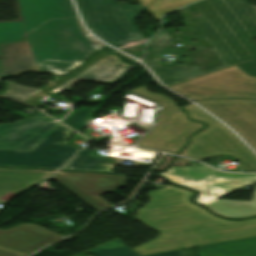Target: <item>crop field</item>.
Masks as SVG:
<instances>
[{"instance_id": "obj_18", "label": "crop field", "mask_w": 256, "mask_h": 256, "mask_svg": "<svg viewBox=\"0 0 256 256\" xmlns=\"http://www.w3.org/2000/svg\"><path fill=\"white\" fill-rule=\"evenodd\" d=\"M91 153H92V151H90L88 149H84L71 162H69L63 169L110 172V171L98 166L100 163H102L104 161V159L94 157L91 155Z\"/></svg>"}, {"instance_id": "obj_17", "label": "crop field", "mask_w": 256, "mask_h": 256, "mask_svg": "<svg viewBox=\"0 0 256 256\" xmlns=\"http://www.w3.org/2000/svg\"><path fill=\"white\" fill-rule=\"evenodd\" d=\"M206 207L219 215L232 218L256 215V188L252 201L217 200Z\"/></svg>"}, {"instance_id": "obj_19", "label": "crop field", "mask_w": 256, "mask_h": 256, "mask_svg": "<svg viewBox=\"0 0 256 256\" xmlns=\"http://www.w3.org/2000/svg\"><path fill=\"white\" fill-rule=\"evenodd\" d=\"M173 115L171 121L167 125V130L185 131L194 133L195 130L202 128L204 125L198 122H191L187 119L186 114L182 112L181 108L168 109Z\"/></svg>"}, {"instance_id": "obj_16", "label": "crop field", "mask_w": 256, "mask_h": 256, "mask_svg": "<svg viewBox=\"0 0 256 256\" xmlns=\"http://www.w3.org/2000/svg\"><path fill=\"white\" fill-rule=\"evenodd\" d=\"M200 256H256V238L198 248Z\"/></svg>"}, {"instance_id": "obj_1", "label": "crop field", "mask_w": 256, "mask_h": 256, "mask_svg": "<svg viewBox=\"0 0 256 256\" xmlns=\"http://www.w3.org/2000/svg\"><path fill=\"white\" fill-rule=\"evenodd\" d=\"M21 22L0 23L2 45L22 40L48 19L77 16L70 0H18ZM96 50L72 19L49 21L24 41L5 46L4 76L24 71L65 72ZM1 74V71H0Z\"/></svg>"}, {"instance_id": "obj_5", "label": "crop field", "mask_w": 256, "mask_h": 256, "mask_svg": "<svg viewBox=\"0 0 256 256\" xmlns=\"http://www.w3.org/2000/svg\"><path fill=\"white\" fill-rule=\"evenodd\" d=\"M129 66L131 65L121 63L118 57L109 51H101L72 72L66 75H56L54 83L45 89L21 87L6 81V89L1 95L40 107L41 104L37 98L43 93L60 90L72 91L73 83L79 80L110 84Z\"/></svg>"}, {"instance_id": "obj_9", "label": "crop field", "mask_w": 256, "mask_h": 256, "mask_svg": "<svg viewBox=\"0 0 256 256\" xmlns=\"http://www.w3.org/2000/svg\"><path fill=\"white\" fill-rule=\"evenodd\" d=\"M72 133L59 124L30 152L0 149V165L59 168L78 150L64 145Z\"/></svg>"}, {"instance_id": "obj_27", "label": "crop field", "mask_w": 256, "mask_h": 256, "mask_svg": "<svg viewBox=\"0 0 256 256\" xmlns=\"http://www.w3.org/2000/svg\"><path fill=\"white\" fill-rule=\"evenodd\" d=\"M139 1L146 8L152 0H139Z\"/></svg>"}, {"instance_id": "obj_21", "label": "crop field", "mask_w": 256, "mask_h": 256, "mask_svg": "<svg viewBox=\"0 0 256 256\" xmlns=\"http://www.w3.org/2000/svg\"><path fill=\"white\" fill-rule=\"evenodd\" d=\"M197 0H155L146 10L150 11L157 19L160 15L175 10Z\"/></svg>"}, {"instance_id": "obj_29", "label": "crop field", "mask_w": 256, "mask_h": 256, "mask_svg": "<svg viewBox=\"0 0 256 256\" xmlns=\"http://www.w3.org/2000/svg\"><path fill=\"white\" fill-rule=\"evenodd\" d=\"M252 7L254 8V10L256 11V6L255 5H252Z\"/></svg>"}, {"instance_id": "obj_12", "label": "crop field", "mask_w": 256, "mask_h": 256, "mask_svg": "<svg viewBox=\"0 0 256 256\" xmlns=\"http://www.w3.org/2000/svg\"><path fill=\"white\" fill-rule=\"evenodd\" d=\"M173 40L174 39L171 38L166 31L161 30L148 43L147 47H150L151 49L146 52V56L143 58L145 59L148 57V59H157L160 57V54L177 55L170 69L158 67L159 61H144L166 86L225 68V65H223L210 70H201L198 69V66L190 65V53L176 48H169ZM183 55H187L186 59L182 58ZM178 61L182 62L183 64L177 65ZM178 78L180 80H177Z\"/></svg>"}, {"instance_id": "obj_14", "label": "crop field", "mask_w": 256, "mask_h": 256, "mask_svg": "<svg viewBox=\"0 0 256 256\" xmlns=\"http://www.w3.org/2000/svg\"><path fill=\"white\" fill-rule=\"evenodd\" d=\"M59 123L38 113L14 125H0V148L30 151Z\"/></svg>"}, {"instance_id": "obj_23", "label": "crop field", "mask_w": 256, "mask_h": 256, "mask_svg": "<svg viewBox=\"0 0 256 256\" xmlns=\"http://www.w3.org/2000/svg\"><path fill=\"white\" fill-rule=\"evenodd\" d=\"M131 91L160 102L161 103L160 110L166 109V108L178 107V105H176L171 98L164 95L151 93L146 90L145 86L137 87Z\"/></svg>"}, {"instance_id": "obj_2", "label": "crop field", "mask_w": 256, "mask_h": 256, "mask_svg": "<svg viewBox=\"0 0 256 256\" xmlns=\"http://www.w3.org/2000/svg\"><path fill=\"white\" fill-rule=\"evenodd\" d=\"M148 195L136 219L160 235L132 248L141 256L256 237V218L220 219L188 202L193 192L169 185Z\"/></svg>"}, {"instance_id": "obj_11", "label": "crop field", "mask_w": 256, "mask_h": 256, "mask_svg": "<svg viewBox=\"0 0 256 256\" xmlns=\"http://www.w3.org/2000/svg\"><path fill=\"white\" fill-rule=\"evenodd\" d=\"M53 179L96 211L110 204L99 195L122 189L127 177L59 171Z\"/></svg>"}, {"instance_id": "obj_25", "label": "crop field", "mask_w": 256, "mask_h": 256, "mask_svg": "<svg viewBox=\"0 0 256 256\" xmlns=\"http://www.w3.org/2000/svg\"><path fill=\"white\" fill-rule=\"evenodd\" d=\"M249 184H253L247 180H239V184H232V185H228L229 188L233 191L239 187L245 186V185H249Z\"/></svg>"}, {"instance_id": "obj_22", "label": "crop field", "mask_w": 256, "mask_h": 256, "mask_svg": "<svg viewBox=\"0 0 256 256\" xmlns=\"http://www.w3.org/2000/svg\"><path fill=\"white\" fill-rule=\"evenodd\" d=\"M93 109L91 108H82L78 110L77 112L71 114L68 116L63 123L67 124L71 128L78 130L81 127L85 126V119L91 116ZM79 124H83L82 126H78Z\"/></svg>"}, {"instance_id": "obj_3", "label": "crop field", "mask_w": 256, "mask_h": 256, "mask_svg": "<svg viewBox=\"0 0 256 256\" xmlns=\"http://www.w3.org/2000/svg\"><path fill=\"white\" fill-rule=\"evenodd\" d=\"M206 21L198 29L226 67L237 64L256 76V14L245 0H203L194 4Z\"/></svg>"}, {"instance_id": "obj_7", "label": "crop field", "mask_w": 256, "mask_h": 256, "mask_svg": "<svg viewBox=\"0 0 256 256\" xmlns=\"http://www.w3.org/2000/svg\"><path fill=\"white\" fill-rule=\"evenodd\" d=\"M190 118L205 122L208 127L190 138L191 143L181 155L200 160L216 155H231L256 170V155L244 145L232 132L195 105H187Z\"/></svg>"}, {"instance_id": "obj_28", "label": "crop field", "mask_w": 256, "mask_h": 256, "mask_svg": "<svg viewBox=\"0 0 256 256\" xmlns=\"http://www.w3.org/2000/svg\"><path fill=\"white\" fill-rule=\"evenodd\" d=\"M49 94H51V93H49ZM46 95H48V94H43L41 97L38 98V101H40L41 99H43Z\"/></svg>"}, {"instance_id": "obj_6", "label": "crop field", "mask_w": 256, "mask_h": 256, "mask_svg": "<svg viewBox=\"0 0 256 256\" xmlns=\"http://www.w3.org/2000/svg\"><path fill=\"white\" fill-rule=\"evenodd\" d=\"M90 30L105 42L118 44L142 39L134 20L142 5L115 4L113 0H77Z\"/></svg>"}, {"instance_id": "obj_20", "label": "crop field", "mask_w": 256, "mask_h": 256, "mask_svg": "<svg viewBox=\"0 0 256 256\" xmlns=\"http://www.w3.org/2000/svg\"><path fill=\"white\" fill-rule=\"evenodd\" d=\"M89 251L97 256H139L137 253H135L133 250H131L126 246L111 249L107 244ZM150 256H184V255L182 251L179 250V251L158 254V255H150Z\"/></svg>"}, {"instance_id": "obj_8", "label": "crop field", "mask_w": 256, "mask_h": 256, "mask_svg": "<svg viewBox=\"0 0 256 256\" xmlns=\"http://www.w3.org/2000/svg\"><path fill=\"white\" fill-rule=\"evenodd\" d=\"M195 101L201 99H256V77L236 65L169 86Z\"/></svg>"}, {"instance_id": "obj_13", "label": "crop field", "mask_w": 256, "mask_h": 256, "mask_svg": "<svg viewBox=\"0 0 256 256\" xmlns=\"http://www.w3.org/2000/svg\"><path fill=\"white\" fill-rule=\"evenodd\" d=\"M238 132L256 150V100L197 102Z\"/></svg>"}, {"instance_id": "obj_26", "label": "crop field", "mask_w": 256, "mask_h": 256, "mask_svg": "<svg viewBox=\"0 0 256 256\" xmlns=\"http://www.w3.org/2000/svg\"><path fill=\"white\" fill-rule=\"evenodd\" d=\"M108 245L111 247V248H114V247H119V246H123L124 244H122L120 241H118L117 239L108 243Z\"/></svg>"}, {"instance_id": "obj_4", "label": "crop field", "mask_w": 256, "mask_h": 256, "mask_svg": "<svg viewBox=\"0 0 256 256\" xmlns=\"http://www.w3.org/2000/svg\"><path fill=\"white\" fill-rule=\"evenodd\" d=\"M55 171L0 168V201L6 202L37 183L49 178ZM64 236L35 224H20L0 229V245L32 253Z\"/></svg>"}, {"instance_id": "obj_24", "label": "crop field", "mask_w": 256, "mask_h": 256, "mask_svg": "<svg viewBox=\"0 0 256 256\" xmlns=\"http://www.w3.org/2000/svg\"><path fill=\"white\" fill-rule=\"evenodd\" d=\"M25 255H27V254L20 253V252L0 246V256H25Z\"/></svg>"}, {"instance_id": "obj_10", "label": "crop field", "mask_w": 256, "mask_h": 256, "mask_svg": "<svg viewBox=\"0 0 256 256\" xmlns=\"http://www.w3.org/2000/svg\"><path fill=\"white\" fill-rule=\"evenodd\" d=\"M163 176L173 183L198 190L200 194L194 201L201 205L231 192L227 185L238 183V179L256 182V175L220 173L207 166L171 167Z\"/></svg>"}, {"instance_id": "obj_15", "label": "crop field", "mask_w": 256, "mask_h": 256, "mask_svg": "<svg viewBox=\"0 0 256 256\" xmlns=\"http://www.w3.org/2000/svg\"><path fill=\"white\" fill-rule=\"evenodd\" d=\"M171 117L172 115L168 110L160 111L156 128L152 133L143 137L138 146L167 151L174 154L181 150L187 142L186 137L191 135V133H168L166 125L170 121Z\"/></svg>"}]
</instances>
